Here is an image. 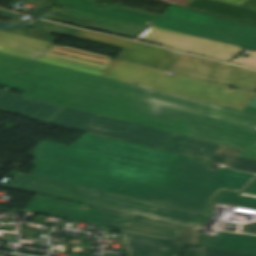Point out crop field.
Here are the masks:
<instances>
[{"label": "crop field", "mask_w": 256, "mask_h": 256, "mask_svg": "<svg viewBox=\"0 0 256 256\" xmlns=\"http://www.w3.org/2000/svg\"><path fill=\"white\" fill-rule=\"evenodd\" d=\"M37 148L106 163L97 172L36 159L33 174L178 208L212 212L222 189L242 192L256 175L215 169L214 162L92 133L71 147L42 141Z\"/></svg>", "instance_id": "8a807250"}, {"label": "crop field", "mask_w": 256, "mask_h": 256, "mask_svg": "<svg viewBox=\"0 0 256 256\" xmlns=\"http://www.w3.org/2000/svg\"><path fill=\"white\" fill-rule=\"evenodd\" d=\"M0 65V78L32 85L24 97L245 150L256 160V127Z\"/></svg>", "instance_id": "ac0d7876"}, {"label": "crop field", "mask_w": 256, "mask_h": 256, "mask_svg": "<svg viewBox=\"0 0 256 256\" xmlns=\"http://www.w3.org/2000/svg\"><path fill=\"white\" fill-rule=\"evenodd\" d=\"M55 51L56 53H50ZM0 52L105 76L139 86L243 110L256 92L176 74L165 70L85 52L0 30ZM104 71L101 72V71ZM171 73V72H169ZM175 74V73H173Z\"/></svg>", "instance_id": "34b2d1b8"}, {"label": "crop field", "mask_w": 256, "mask_h": 256, "mask_svg": "<svg viewBox=\"0 0 256 256\" xmlns=\"http://www.w3.org/2000/svg\"><path fill=\"white\" fill-rule=\"evenodd\" d=\"M9 186L163 223L201 227L211 215L207 212L173 208L22 172L18 173Z\"/></svg>", "instance_id": "412701ff"}, {"label": "crop field", "mask_w": 256, "mask_h": 256, "mask_svg": "<svg viewBox=\"0 0 256 256\" xmlns=\"http://www.w3.org/2000/svg\"><path fill=\"white\" fill-rule=\"evenodd\" d=\"M0 64L91 85L256 126V114L163 93L133 84L0 53ZM198 112V113H199Z\"/></svg>", "instance_id": "f4fd0767"}, {"label": "crop field", "mask_w": 256, "mask_h": 256, "mask_svg": "<svg viewBox=\"0 0 256 256\" xmlns=\"http://www.w3.org/2000/svg\"><path fill=\"white\" fill-rule=\"evenodd\" d=\"M0 109L157 147L172 133L0 92Z\"/></svg>", "instance_id": "dd49c442"}, {"label": "crop field", "mask_w": 256, "mask_h": 256, "mask_svg": "<svg viewBox=\"0 0 256 256\" xmlns=\"http://www.w3.org/2000/svg\"><path fill=\"white\" fill-rule=\"evenodd\" d=\"M256 91V72L183 54L169 70Z\"/></svg>", "instance_id": "e52e79f7"}, {"label": "crop field", "mask_w": 256, "mask_h": 256, "mask_svg": "<svg viewBox=\"0 0 256 256\" xmlns=\"http://www.w3.org/2000/svg\"><path fill=\"white\" fill-rule=\"evenodd\" d=\"M139 39L227 62H230L242 51L239 47L153 26Z\"/></svg>", "instance_id": "d8731c3e"}, {"label": "crop field", "mask_w": 256, "mask_h": 256, "mask_svg": "<svg viewBox=\"0 0 256 256\" xmlns=\"http://www.w3.org/2000/svg\"><path fill=\"white\" fill-rule=\"evenodd\" d=\"M82 208L83 205L37 195L24 210L117 228H122L133 218L91 207H88L86 211L81 210Z\"/></svg>", "instance_id": "5a996713"}, {"label": "crop field", "mask_w": 256, "mask_h": 256, "mask_svg": "<svg viewBox=\"0 0 256 256\" xmlns=\"http://www.w3.org/2000/svg\"><path fill=\"white\" fill-rule=\"evenodd\" d=\"M75 38L123 48L117 58L167 70L179 52L80 30Z\"/></svg>", "instance_id": "3316defc"}, {"label": "crop field", "mask_w": 256, "mask_h": 256, "mask_svg": "<svg viewBox=\"0 0 256 256\" xmlns=\"http://www.w3.org/2000/svg\"><path fill=\"white\" fill-rule=\"evenodd\" d=\"M157 27L174 30L190 35L212 39L244 48L256 49V39L227 31L155 14L147 23Z\"/></svg>", "instance_id": "28ad6ade"}, {"label": "crop field", "mask_w": 256, "mask_h": 256, "mask_svg": "<svg viewBox=\"0 0 256 256\" xmlns=\"http://www.w3.org/2000/svg\"><path fill=\"white\" fill-rule=\"evenodd\" d=\"M46 4H50V2H47ZM50 5H52L50 7L52 9L49 11L90 21V28L96 30L136 38L149 27V25L146 24L84 11L67 6H62V8L59 9L57 8L58 4L55 3L54 5Z\"/></svg>", "instance_id": "d1516ede"}, {"label": "crop field", "mask_w": 256, "mask_h": 256, "mask_svg": "<svg viewBox=\"0 0 256 256\" xmlns=\"http://www.w3.org/2000/svg\"><path fill=\"white\" fill-rule=\"evenodd\" d=\"M129 256H172L179 240L120 229Z\"/></svg>", "instance_id": "22f410ed"}, {"label": "crop field", "mask_w": 256, "mask_h": 256, "mask_svg": "<svg viewBox=\"0 0 256 256\" xmlns=\"http://www.w3.org/2000/svg\"><path fill=\"white\" fill-rule=\"evenodd\" d=\"M162 14L256 38V27L254 26L194 12L175 6L169 7Z\"/></svg>", "instance_id": "cbeb9de0"}, {"label": "crop field", "mask_w": 256, "mask_h": 256, "mask_svg": "<svg viewBox=\"0 0 256 256\" xmlns=\"http://www.w3.org/2000/svg\"><path fill=\"white\" fill-rule=\"evenodd\" d=\"M222 145L173 133L157 148L207 159Z\"/></svg>", "instance_id": "5142ce71"}, {"label": "crop field", "mask_w": 256, "mask_h": 256, "mask_svg": "<svg viewBox=\"0 0 256 256\" xmlns=\"http://www.w3.org/2000/svg\"><path fill=\"white\" fill-rule=\"evenodd\" d=\"M201 247L256 256V236L218 232L216 241L202 239Z\"/></svg>", "instance_id": "d9b57169"}, {"label": "crop field", "mask_w": 256, "mask_h": 256, "mask_svg": "<svg viewBox=\"0 0 256 256\" xmlns=\"http://www.w3.org/2000/svg\"><path fill=\"white\" fill-rule=\"evenodd\" d=\"M95 1L96 0H57L56 3L142 23L148 22L154 15L153 13L116 4L111 5L109 9H105L98 7L97 4L94 3Z\"/></svg>", "instance_id": "733c2abd"}, {"label": "crop field", "mask_w": 256, "mask_h": 256, "mask_svg": "<svg viewBox=\"0 0 256 256\" xmlns=\"http://www.w3.org/2000/svg\"><path fill=\"white\" fill-rule=\"evenodd\" d=\"M188 7L256 24V11L212 0H195Z\"/></svg>", "instance_id": "4a817a6b"}, {"label": "crop field", "mask_w": 256, "mask_h": 256, "mask_svg": "<svg viewBox=\"0 0 256 256\" xmlns=\"http://www.w3.org/2000/svg\"><path fill=\"white\" fill-rule=\"evenodd\" d=\"M242 152V150L223 146L208 159L222 163L234 169L256 173L255 160L237 157Z\"/></svg>", "instance_id": "bc2a9ffb"}, {"label": "crop field", "mask_w": 256, "mask_h": 256, "mask_svg": "<svg viewBox=\"0 0 256 256\" xmlns=\"http://www.w3.org/2000/svg\"><path fill=\"white\" fill-rule=\"evenodd\" d=\"M123 228L180 239L181 227L133 218Z\"/></svg>", "instance_id": "214f88e0"}, {"label": "crop field", "mask_w": 256, "mask_h": 256, "mask_svg": "<svg viewBox=\"0 0 256 256\" xmlns=\"http://www.w3.org/2000/svg\"><path fill=\"white\" fill-rule=\"evenodd\" d=\"M36 156L37 158H43V159L56 161L64 164H69V165L86 168L94 171H97L100 167L104 165L103 163L71 157L67 155L40 150V149H37Z\"/></svg>", "instance_id": "92a150f3"}, {"label": "crop field", "mask_w": 256, "mask_h": 256, "mask_svg": "<svg viewBox=\"0 0 256 256\" xmlns=\"http://www.w3.org/2000/svg\"><path fill=\"white\" fill-rule=\"evenodd\" d=\"M215 202L236 207L256 209V197L245 194L222 192L215 198Z\"/></svg>", "instance_id": "dafd665d"}, {"label": "crop field", "mask_w": 256, "mask_h": 256, "mask_svg": "<svg viewBox=\"0 0 256 256\" xmlns=\"http://www.w3.org/2000/svg\"><path fill=\"white\" fill-rule=\"evenodd\" d=\"M0 29L4 30V31H8V32L16 33V34H22L24 36L52 42V43H54L57 40L56 38L50 37L51 33L26 29V28H22V27H19L16 25L10 26V27H4V26L0 25Z\"/></svg>", "instance_id": "00972430"}, {"label": "crop field", "mask_w": 256, "mask_h": 256, "mask_svg": "<svg viewBox=\"0 0 256 256\" xmlns=\"http://www.w3.org/2000/svg\"><path fill=\"white\" fill-rule=\"evenodd\" d=\"M34 28L50 31V32H55V33H60L64 35H69L72 36L75 32L78 31V29H74L71 27L55 24V23H50L46 21L40 20L37 24L31 26Z\"/></svg>", "instance_id": "a9b5d70f"}, {"label": "crop field", "mask_w": 256, "mask_h": 256, "mask_svg": "<svg viewBox=\"0 0 256 256\" xmlns=\"http://www.w3.org/2000/svg\"><path fill=\"white\" fill-rule=\"evenodd\" d=\"M200 234L195 233V228L182 227L180 244H191L198 246Z\"/></svg>", "instance_id": "4177f3b9"}, {"label": "crop field", "mask_w": 256, "mask_h": 256, "mask_svg": "<svg viewBox=\"0 0 256 256\" xmlns=\"http://www.w3.org/2000/svg\"><path fill=\"white\" fill-rule=\"evenodd\" d=\"M234 63L256 69V50H253L249 54V57L238 59V60L234 61Z\"/></svg>", "instance_id": "730fd06b"}, {"label": "crop field", "mask_w": 256, "mask_h": 256, "mask_svg": "<svg viewBox=\"0 0 256 256\" xmlns=\"http://www.w3.org/2000/svg\"><path fill=\"white\" fill-rule=\"evenodd\" d=\"M200 249L204 256H248V255L235 254V253L210 250V249H204V248H200Z\"/></svg>", "instance_id": "eef30255"}, {"label": "crop field", "mask_w": 256, "mask_h": 256, "mask_svg": "<svg viewBox=\"0 0 256 256\" xmlns=\"http://www.w3.org/2000/svg\"><path fill=\"white\" fill-rule=\"evenodd\" d=\"M0 84L15 87V88H20V89H24V90H27L30 87L29 85H25V84L13 82V81H8V80H4V79H0Z\"/></svg>", "instance_id": "ae1a2a85"}, {"label": "crop field", "mask_w": 256, "mask_h": 256, "mask_svg": "<svg viewBox=\"0 0 256 256\" xmlns=\"http://www.w3.org/2000/svg\"><path fill=\"white\" fill-rule=\"evenodd\" d=\"M181 256H203L197 247L188 246Z\"/></svg>", "instance_id": "d3111659"}, {"label": "crop field", "mask_w": 256, "mask_h": 256, "mask_svg": "<svg viewBox=\"0 0 256 256\" xmlns=\"http://www.w3.org/2000/svg\"><path fill=\"white\" fill-rule=\"evenodd\" d=\"M241 228L245 229L246 233L256 234V223L244 224Z\"/></svg>", "instance_id": "750c4746"}, {"label": "crop field", "mask_w": 256, "mask_h": 256, "mask_svg": "<svg viewBox=\"0 0 256 256\" xmlns=\"http://www.w3.org/2000/svg\"><path fill=\"white\" fill-rule=\"evenodd\" d=\"M162 1H166V2H171V3L187 6L191 2H193L194 0H162Z\"/></svg>", "instance_id": "bd1437ed"}, {"label": "crop field", "mask_w": 256, "mask_h": 256, "mask_svg": "<svg viewBox=\"0 0 256 256\" xmlns=\"http://www.w3.org/2000/svg\"><path fill=\"white\" fill-rule=\"evenodd\" d=\"M244 193L256 196V182L251 185Z\"/></svg>", "instance_id": "1d83c4d3"}, {"label": "crop field", "mask_w": 256, "mask_h": 256, "mask_svg": "<svg viewBox=\"0 0 256 256\" xmlns=\"http://www.w3.org/2000/svg\"><path fill=\"white\" fill-rule=\"evenodd\" d=\"M242 5H245V6L249 7V8H252V9L256 10V0H247Z\"/></svg>", "instance_id": "120bbe31"}, {"label": "crop field", "mask_w": 256, "mask_h": 256, "mask_svg": "<svg viewBox=\"0 0 256 256\" xmlns=\"http://www.w3.org/2000/svg\"><path fill=\"white\" fill-rule=\"evenodd\" d=\"M220 1H224V2H228V3L240 5V4H242L243 2H245L246 0H220Z\"/></svg>", "instance_id": "d32e631a"}, {"label": "crop field", "mask_w": 256, "mask_h": 256, "mask_svg": "<svg viewBox=\"0 0 256 256\" xmlns=\"http://www.w3.org/2000/svg\"><path fill=\"white\" fill-rule=\"evenodd\" d=\"M216 237H217L216 234H214V235L202 234V238H205V239L215 240Z\"/></svg>", "instance_id": "5866460e"}, {"label": "crop field", "mask_w": 256, "mask_h": 256, "mask_svg": "<svg viewBox=\"0 0 256 256\" xmlns=\"http://www.w3.org/2000/svg\"><path fill=\"white\" fill-rule=\"evenodd\" d=\"M248 105H249V106L256 107V95H255V97L250 101V103H249Z\"/></svg>", "instance_id": "028f5c9d"}]
</instances>
